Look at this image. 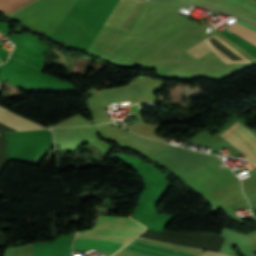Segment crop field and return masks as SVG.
Listing matches in <instances>:
<instances>
[{
  "label": "crop field",
  "instance_id": "8a807250",
  "mask_svg": "<svg viewBox=\"0 0 256 256\" xmlns=\"http://www.w3.org/2000/svg\"><path fill=\"white\" fill-rule=\"evenodd\" d=\"M144 229L128 217L100 215L95 227L76 232V236L110 238L128 242ZM110 239L75 237L73 249L113 253L125 244V242Z\"/></svg>",
  "mask_w": 256,
  "mask_h": 256
},
{
  "label": "crop field",
  "instance_id": "ac0d7876",
  "mask_svg": "<svg viewBox=\"0 0 256 256\" xmlns=\"http://www.w3.org/2000/svg\"><path fill=\"white\" fill-rule=\"evenodd\" d=\"M246 157L244 159L256 164V136L238 122L220 134Z\"/></svg>",
  "mask_w": 256,
  "mask_h": 256
},
{
  "label": "crop field",
  "instance_id": "34b2d1b8",
  "mask_svg": "<svg viewBox=\"0 0 256 256\" xmlns=\"http://www.w3.org/2000/svg\"><path fill=\"white\" fill-rule=\"evenodd\" d=\"M144 3L143 0H119L105 25L128 31Z\"/></svg>",
  "mask_w": 256,
  "mask_h": 256
},
{
  "label": "crop field",
  "instance_id": "412701ff",
  "mask_svg": "<svg viewBox=\"0 0 256 256\" xmlns=\"http://www.w3.org/2000/svg\"><path fill=\"white\" fill-rule=\"evenodd\" d=\"M235 23L256 33V27H254L248 23H245L241 20H238ZM215 35L218 36L220 39H222L224 42H226L228 45H230L232 48H234L237 52H239L241 55H243L249 61H251L252 63H256V47L255 46L248 43L247 41L240 38L239 36H237L235 34L232 35L224 30Z\"/></svg>",
  "mask_w": 256,
  "mask_h": 256
},
{
  "label": "crop field",
  "instance_id": "f4fd0767",
  "mask_svg": "<svg viewBox=\"0 0 256 256\" xmlns=\"http://www.w3.org/2000/svg\"><path fill=\"white\" fill-rule=\"evenodd\" d=\"M0 123L7 125L17 131L45 128L5 109L2 106H0Z\"/></svg>",
  "mask_w": 256,
  "mask_h": 256
},
{
  "label": "crop field",
  "instance_id": "dd49c442",
  "mask_svg": "<svg viewBox=\"0 0 256 256\" xmlns=\"http://www.w3.org/2000/svg\"><path fill=\"white\" fill-rule=\"evenodd\" d=\"M99 91L104 100L119 99L147 93L139 82L120 87L101 89Z\"/></svg>",
  "mask_w": 256,
  "mask_h": 256
},
{
  "label": "crop field",
  "instance_id": "e52e79f7",
  "mask_svg": "<svg viewBox=\"0 0 256 256\" xmlns=\"http://www.w3.org/2000/svg\"><path fill=\"white\" fill-rule=\"evenodd\" d=\"M231 1L236 2L238 4H241V5H243V6H245V7H247V8L256 12V7H254L252 5H249V4H247L245 2H242L240 0H231ZM180 2L187 3V4H193V5H199V6H203V7H210V8L216 9V10H220V11L226 12L228 14L234 15L236 17L242 18L244 20H247V21L256 25L255 20H253V19H251V18H249V17H247V16H245V15H243V14H241V13L235 11V10H232V9L227 8L225 6H222V5H219L217 3L211 2L209 0H180Z\"/></svg>",
  "mask_w": 256,
  "mask_h": 256
},
{
  "label": "crop field",
  "instance_id": "d8731c3e",
  "mask_svg": "<svg viewBox=\"0 0 256 256\" xmlns=\"http://www.w3.org/2000/svg\"><path fill=\"white\" fill-rule=\"evenodd\" d=\"M55 145L60 148L82 140L68 128H53Z\"/></svg>",
  "mask_w": 256,
  "mask_h": 256
},
{
  "label": "crop field",
  "instance_id": "5a996713",
  "mask_svg": "<svg viewBox=\"0 0 256 256\" xmlns=\"http://www.w3.org/2000/svg\"><path fill=\"white\" fill-rule=\"evenodd\" d=\"M125 138H127L128 140H130L131 142H133L134 144H136L137 146L141 147L142 149H144L145 151H150L153 148L159 146L160 142H156L153 140H149L146 138H142V137H138L133 133H128L126 136H124Z\"/></svg>",
  "mask_w": 256,
  "mask_h": 256
},
{
  "label": "crop field",
  "instance_id": "3316defc",
  "mask_svg": "<svg viewBox=\"0 0 256 256\" xmlns=\"http://www.w3.org/2000/svg\"><path fill=\"white\" fill-rule=\"evenodd\" d=\"M188 51L190 54H192L197 59L204 56L205 54L211 52L210 49L207 47V45L204 43V41H200L196 45L189 48Z\"/></svg>",
  "mask_w": 256,
  "mask_h": 256
},
{
  "label": "crop field",
  "instance_id": "28ad6ade",
  "mask_svg": "<svg viewBox=\"0 0 256 256\" xmlns=\"http://www.w3.org/2000/svg\"><path fill=\"white\" fill-rule=\"evenodd\" d=\"M201 256H224V255L216 254V253L204 252Z\"/></svg>",
  "mask_w": 256,
  "mask_h": 256
},
{
  "label": "crop field",
  "instance_id": "d1516ede",
  "mask_svg": "<svg viewBox=\"0 0 256 256\" xmlns=\"http://www.w3.org/2000/svg\"><path fill=\"white\" fill-rule=\"evenodd\" d=\"M4 35L0 33V38L3 37Z\"/></svg>",
  "mask_w": 256,
  "mask_h": 256
},
{
  "label": "crop field",
  "instance_id": "22f410ed",
  "mask_svg": "<svg viewBox=\"0 0 256 256\" xmlns=\"http://www.w3.org/2000/svg\"><path fill=\"white\" fill-rule=\"evenodd\" d=\"M3 63V61L0 60V64Z\"/></svg>",
  "mask_w": 256,
  "mask_h": 256
}]
</instances>
